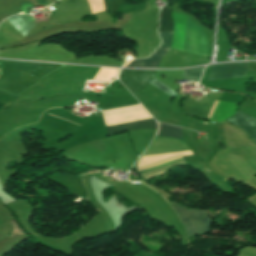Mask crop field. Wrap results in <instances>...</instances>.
<instances>
[{
  "label": "crop field",
  "instance_id": "14",
  "mask_svg": "<svg viewBox=\"0 0 256 256\" xmlns=\"http://www.w3.org/2000/svg\"><path fill=\"white\" fill-rule=\"evenodd\" d=\"M39 5H43V4H46L45 0H37Z\"/></svg>",
  "mask_w": 256,
  "mask_h": 256
},
{
  "label": "crop field",
  "instance_id": "4",
  "mask_svg": "<svg viewBox=\"0 0 256 256\" xmlns=\"http://www.w3.org/2000/svg\"><path fill=\"white\" fill-rule=\"evenodd\" d=\"M248 62L213 65L207 80L246 77Z\"/></svg>",
  "mask_w": 256,
  "mask_h": 256
},
{
  "label": "crop field",
  "instance_id": "2",
  "mask_svg": "<svg viewBox=\"0 0 256 256\" xmlns=\"http://www.w3.org/2000/svg\"><path fill=\"white\" fill-rule=\"evenodd\" d=\"M200 35V28L188 18L183 51L198 55ZM207 45L208 41L202 32L199 55L206 57Z\"/></svg>",
  "mask_w": 256,
  "mask_h": 256
},
{
  "label": "crop field",
  "instance_id": "9",
  "mask_svg": "<svg viewBox=\"0 0 256 256\" xmlns=\"http://www.w3.org/2000/svg\"><path fill=\"white\" fill-rule=\"evenodd\" d=\"M158 131H157V134H158ZM158 135L175 137L182 140V130L180 128L161 124V123H160V131Z\"/></svg>",
  "mask_w": 256,
  "mask_h": 256
},
{
  "label": "crop field",
  "instance_id": "6",
  "mask_svg": "<svg viewBox=\"0 0 256 256\" xmlns=\"http://www.w3.org/2000/svg\"><path fill=\"white\" fill-rule=\"evenodd\" d=\"M227 121L242 127L256 141V120L238 111Z\"/></svg>",
  "mask_w": 256,
  "mask_h": 256
},
{
  "label": "crop field",
  "instance_id": "8",
  "mask_svg": "<svg viewBox=\"0 0 256 256\" xmlns=\"http://www.w3.org/2000/svg\"><path fill=\"white\" fill-rule=\"evenodd\" d=\"M159 31L173 32V21L170 17V7L164 6L161 10Z\"/></svg>",
  "mask_w": 256,
  "mask_h": 256
},
{
  "label": "crop field",
  "instance_id": "12",
  "mask_svg": "<svg viewBox=\"0 0 256 256\" xmlns=\"http://www.w3.org/2000/svg\"><path fill=\"white\" fill-rule=\"evenodd\" d=\"M178 160H180V159H178ZM174 161V160H173ZM185 161V160H184ZM170 162H172V161H170ZM170 162H168V163H170ZM186 163V162H185ZM165 164H167V163H165ZM162 165H164V164H162ZM177 165H187V163L186 164H177ZM158 166H160V165H158ZM173 166H175V165H173ZM173 166H171V167H173ZM155 167H157V166H155ZM170 167V168H171ZM153 168V167H152ZM149 169H151V168H149ZM169 169V168H168ZM168 169H166V170H168ZM145 170H148V169H145ZM141 171H143V170H141ZM163 171H165V170H163ZM163 171H161V172H163ZM139 172V171H138ZM161 172H159V173H161ZM159 173H157V174H159ZM164 173V172H163ZM163 173H161V174H159V175H156L157 177H159V176H162L163 175ZM154 176V175H153ZM155 177V176H154ZM151 178H153V177H151ZM151 178H149V179H147L148 181L151 179Z\"/></svg>",
  "mask_w": 256,
  "mask_h": 256
},
{
  "label": "crop field",
  "instance_id": "11",
  "mask_svg": "<svg viewBox=\"0 0 256 256\" xmlns=\"http://www.w3.org/2000/svg\"><path fill=\"white\" fill-rule=\"evenodd\" d=\"M150 84L156 86L161 91H163L164 93H166L172 97H174V95L176 94L173 91H171L170 89H168L166 86H164L162 83H160L158 80H156L155 78L150 82Z\"/></svg>",
  "mask_w": 256,
  "mask_h": 256
},
{
  "label": "crop field",
  "instance_id": "3",
  "mask_svg": "<svg viewBox=\"0 0 256 256\" xmlns=\"http://www.w3.org/2000/svg\"><path fill=\"white\" fill-rule=\"evenodd\" d=\"M162 45H160L156 51L149 57L145 59L132 60L129 61L124 66L133 68H158L161 58L171 49L172 36L173 33L159 32Z\"/></svg>",
  "mask_w": 256,
  "mask_h": 256
},
{
  "label": "crop field",
  "instance_id": "10",
  "mask_svg": "<svg viewBox=\"0 0 256 256\" xmlns=\"http://www.w3.org/2000/svg\"><path fill=\"white\" fill-rule=\"evenodd\" d=\"M204 69L184 71L183 79L199 81Z\"/></svg>",
  "mask_w": 256,
  "mask_h": 256
},
{
  "label": "crop field",
  "instance_id": "15",
  "mask_svg": "<svg viewBox=\"0 0 256 256\" xmlns=\"http://www.w3.org/2000/svg\"><path fill=\"white\" fill-rule=\"evenodd\" d=\"M67 123V122H66ZM70 124V123H69ZM72 125V124H71ZM75 126V125H74ZM76 127H78V126H76Z\"/></svg>",
  "mask_w": 256,
  "mask_h": 256
},
{
  "label": "crop field",
  "instance_id": "5",
  "mask_svg": "<svg viewBox=\"0 0 256 256\" xmlns=\"http://www.w3.org/2000/svg\"><path fill=\"white\" fill-rule=\"evenodd\" d=\"M106 128H107V134L108 136H110V135H114V134H118L126 131L138 130V129H156V123L154 119H150V120L108 126Z\"/></svg>",
  "mask_w": 256,
  "mask_h": 256
},
{
  "label": "crop field",
  "instance_id": "7",
  "mask_svg": "<svg viewBox=\"0 0 256 256\" xmlns=\"http://www.w3.org/2000/svg\"><path fill=\"white\" fill-rule=\"evenodd\" d=\"M7 24L15 28L17 31L22 33L23 35H27L28 32L34 26L33 22L27 16H13L6 21Z\"/></svg>",
  "mask_w": 256,
  "mask_h": 256
},
{
  "label": "crop field",
  "instance_id": "13",
  "mask_svg": "<svg viewBox=\"0 0 256 256\" xmlns=\"http://www.w3.org/2000/svg\"><path fill=\"white\" fill-rule=\"evenodd\" d=\"M216 103H217V101H215V103H214V105H213V107H212V109H211V111H210V113H209V115H208V117H207V120L209 119V117H210V115H211V113H212V111H213V109H214Z\"/></svg>",
  "mask_w": 256,
  "mask_h": 256
},
{
  "label": "crop field",
  "instance_id": "1",
  "mask_svg": "<svg viewBox=\"0 0 256 256\" xmlns=\"http://www.w3.org/2000/svg\"><path fill=\"white\" fill-rule=\"evenodd\" d=\"M170 206L178 214L180 220L182 221V223L185 227L188 237L198 235V233H199V235L209 233L212 220L207 218L204 212L186 209L191 220L193 221V223L198 231V233H197L185 208L177 207L174 205H170Z\"/></svg>",
  "mask_w": 256,
  "mask_h": 256
}]
</instances>
